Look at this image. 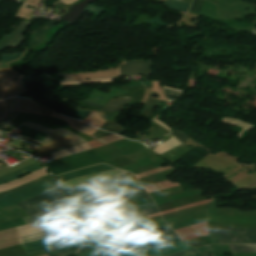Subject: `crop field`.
Wrapping results in <instances>:
<instances>
[{"label":"crop field","mask_w":256,"mask_h":256,"mask_svg":"<svg viewBox=\"0 0 256 256\" xmlns=\"http://www.w3.org/2000/svg\"><path fill=\"white\" fill-rule=\"evenodd\" d=\"M90 248H93V245H92L91 241H89V242H87V243H84V244L82 245V248H81L77 253H80V252H82V251L88 250V249H90Z\"/></svg>","instance_id":"crop-field-47"},{"label":"crop field","mask_w":256,"mask_h":256,"mask_svg":"<svg viewBox=\"0 0 256 256\" xmlns=\"http://www.w3.org/2000/svg\"><path fill=\"white\" fill-rule=\"evenodd\" d=\"M86 241H89V238H86V239L84 240V242H86ZM84 242H83V243H84Z\"/></svg>","instance_id":"crop-field-53"},{"label":"crop field","mask_w":256,"mask_h":256,"mask_svg":"<svg viewBox=\"0 0 256 256\" xmlns=\"http://www.w3.org/2000/svg\"><path fill=\"white\" fill-rule=\"evenodd\" d=\"M150 206H154V203L146 204V205H142V206H138V207H136V206L133 207V204L126 205V206H120V207H114V208L105 209V210H101V211H97V212H93V213H89V214L79 215L77 217L81 222H83V221H87V220L105 216V215L134 211V210L147 208ZM128 207H133V208H128ZM122 208H128V209H122ZM116 209H122V210H116ZM112 210H116V211H112Z\"/></svg>","instance_id":"crop-field-18"},{"label":"crop field","mask_w":256,"mask_h":256,"mask_svg":"<svg viewBox=\"0 0 256 256\" xmlns=\"http://www.w3.org/2000/svg\"><path fill=\"white\" fill-rule=\"evenodd\" d=\"M29 24L30 23L28 22H20V24L12 30V32H15L19 35L11 42L9 45L10 47L16 48L20 43L24 41L25 38L23 37V33Z\"/></svg>","instance_id":"crop-field-27"},{"label":"crop field","mask_w":256,"mask_h":256,"mask_svg":"<svg viewBox=\"0 0 256 256\" xmlns=\"http://www.w3.org/2000/svg\"><path fill=\"white\" fill-rule=\"evenodd\" d=\"M87 149H92V148L87 143H84V144H81L78 146H74V147H71V148H68V149H65L62 151L52 153V155L55 157V159H57V158H60L63 156L79 153V152H82Z\"/></svg>","instance_id":"crop-field-23"},{"label":"crop field","mask_w":256,"mask_h":256,"mask_svg":"<svg viewBox=\"0 0 256 256\" xmlns=\"http://www.w3.org/2000/svg\"><path fill=\"white\" fill-rule=\"evenodd\" d=\"M84 233L85 232L81 229L80 225H78L74 228L67 229L50 238L27 243V244H24L23 246L27 254H29V253L37 252L40 250H44L46 248H49L51 246H54L56 244H59L61 242H64L68 239H71L73 237L79 236Z\"/></svg>","instance_id":"crop-field-9"},{"label":"crop field","mask_w":256,"mask_h":256,"mask_svg":"<svg viewBox=\"0 0 256 256\" xmlns=\"http://www.w3.org/2000/svg\"><path fill=\"white\" fill-rule=\"evenodd\" d=\"M124 173H127V172L122 171V170H118V169H114L112 171L98 173V174H94V175H90V176L70 180V181H67V182H63V183H60V186L62 187V189H64V188H68V187H71V186L85 184V183H89V182L109 178V177H112V176L124 174Z\"/></svg>","instance_id":"crop-field-17"},{"label":"crop field","mask_w":256,"mask_h":256,"mask_svg":"<svg viewBox=\"0 0 256 256\" xmlns=\"http://www.w3.org/2000/svg\"><path fill=\"white\" fill-rule=\"evenodd\" d=\"M95 256H99V254L95 255Z\"/></svg>","instance_id":"crop-field-55"},{"label":"crop field","mask_w":256,"mask_h":256,"mask_svg":"<svg viewBox=\"0 0 256 256\" xmlns=\"http://www.w3.org/2000/svg\"><path fill=\"white\" fill-rule=\"evenodd\" d=\"M8 134H11V135H14V136H17V137H20V138H24V139H27V140H30V141H33V142H36V143L41 144L40 142H37V141H34V140H32V139H29V138L23 137V136H21V135L14 134V133H12V132H10V133H8Z\"/></svg>","instance_id":"crop-field-51"},{"label":"crop field","mask_w":256,"mask_h":256,"mask_svg":"<svg viewBox=\"0 0 256 256\" xmlns=\"http://www.w3.org/2000/svg\"><path fill=\"white\" fill-rule=\"evenodd\" d=\"M106 81H111V79H101V80H94V81H80V82L61 83V85L86 84V83H96V82H106Z\"/></svg>","instance_id":"crop-field-41"},{"label":"crop field","mask_w":256,"mask_h":256,"mask_svg":"<svg viewBox=\"0 0 256 256\" xmlns=\"http://www.w3.org/2000/svg\"><path fill=\"white\" fill-rule=\"evenodd\" d=\"M44 172H46V170L43 168V169H41V170L35 171V172H33V173H30V174H28V175H26V176H24V177H22V178H20V179H17V180H15V181L2 184V185H0V188L12 186V185L17 184V183H19V182H21V181H23V180H25V179H28V178H30V177H33V176H35V175H37V174H41V173H44ZM45 175H48V172L45 173V174H41V175H38V176H36V177L30 178V179H28V180H25V181H23V182H21V183H19V184H17V185H14V186H12V187L0 189V192L9 190V189H11V188H14V187L19 186V185H21V184L27 183V182H29V181L35 179V178L42 177V176H45ZM47 178H51V176L48 175V176H45V177H42V178H39V179H35V180H33V181H31V182H29V183H27V184H24V185H22V186L16 187V188L11 189V190H9V191L0 193V196H1V195L8 194V193H11V192H15V191H17V190H19V189H22V188H24V187H27V186H29V185H32V184H34V183H37V182L42 181V180L47 179Z\"/></svg>","instance_id":"crop-field-15"},{"label":"crop field","mask_w":256,"mask_h":256,"mask_svg":"<svg viewBox=\"0 0 256 256\" xmlns=\"http://www.w3.org/2000/svg\"><path fill=\"white\" fill-rule=\"evenodd\" d=\"M53 189H57V186L53 180V178L42 181L38 184H35L33 186H30L28 188H25L23 190H20L18 192L1 196L0 197V208L6 207L13 204H18L22 201H25L35 195H38L40 193L50 191Z\"/></svg>","instance_id":"crop-field-6"},{"label":"crop field","mask_w":256,"mask_h":256,"mask_svg":"<svg viewBox=\"0 0 256 256\" xmlns=\"http://www.w3.org/2000/svg\"><path fill=\"white\" fill-rule=\"evenodd\" d=\"M149 199L150 197L148 196V194H144V195H138V196L129 197V198L116 199V200H110L102 203H97V204L81 207L78 209H74V211L76 215H79V214H83L90 211L105 209L109 207H114V206H119L123 204L134 203V202L144 201Z\"/></svg>","instance_id":"crop-field-13"},{"label":"crop field","mask_w":256,"mask_h":256,"mask_svg":"<svg viewBox=\"0 0 256 256\" xmlns=\"http://www.w3.org/2000/svg\"><path fill=\"white\" fill-rule=\"evenodd\" d=\"M12 145L16 146V147H19V148H22V149H25V150L32 151V152H36L37 151V149H34V148L30 147L31 144H28L26 142L19 141V140H16Z\"/></svg>","instance_id":"crop-field-38"},{"label":"crop field","mask_w":256,"mask_h":256,"mask_svg":"<svg viewBox=\"0 0 256 256\" xmlns=\"http://www.w3.org/2000/svg\"><path fill=\"white\" fill-rule=\"evenodd\" d=\"M43 168L38 162L28 166V167H25L23 169H20L16 172H13L7 176H3V177H0V184L2 183H5V182H9V181H12L14 179H17V178H20L32 171H35V170H38V169H41Z\"/></svg>","instance_id":"crop-field-21"},{"label":"crop field","mask_w":256,"mask_h":256,"mask_svg":"<svg viewBox=\"0 0 256 256\" xmlns=\"http://www.w3.org/2000/svg\"><path fill=\"white\" fill-rule=\"evenodd\" d=\"M57 22H59V21H57ZM57 22L49 21V22H47L45 25L39 27L37 30H33L32 33H31V35H30V38H31V39H30L29 42H30L32 45L39 44V42H40V40H41V38H40L41 34H42L45 30H47V29H49L50 27L54 26ZM28 37H29V36H28Z\"/></svg>","instance_id":"crop-field-24"},{"label":"crop field","mask_w":256,"mask_h":256,"mask_svg":"<svg viewBox=\"0 0 256 256\" xmlns=\"http://www.w3.org/2000/svg\"><path fill=\"white\" fill-rule=\"evenodd\" d=\"M32 76H33V74L24 75V77H23V79H22L23 83L26 85L27 82H28V80H29V78H32ZM22 81L20 82L21 85H23ZM30 81H31V80H29L28 84L30 83ZM28 84H27V86H28Z\"/></svg>","instance_id":"crop-field-50"},{"label":"crop field","mask_w":256,"mask_h":256,"mask_svg":"<svg viewBox=\"0 0 256 256\" xmlns=\"http://www.w3.org/2000/svg\"><path fill=\"white\" fill-rule=\"evenodd\" d=\"M128 176H132V174L127 173V174H124L121 176H117V177H113V178H109V179H105V180H101V181H97V182H93V183H89V184H85V185H80V186H76V187H72V188H68V189H64L63 192L65 193V192H69V191L79 189L82 187H86V186H90V185H94V184H98V183H102V182H107V181H113V180L121 179V178L128 177Z\"/></svg>","instance_id":"crop-field-33"},{"label":"crop field","mask_w":256,"mask_h":256,"mask_svg":"<svg viewBox=\"0 0 256 256\" xmlns=\"http://www.w3.org/2000/svg\"><path fill=\"white\" fill-rule=\"evenodd\" d=\"M171 134H172L173 136L179 138V139H180L181 141H183L184 143H185L187 140L190 139V137H188V136H186V135H184V134H182V133H180V132H178V131H176V130H174Z\"/></svg>","instance_id":"crop-field-44"},{"label":"crop field","mask_w":256,"mask_h":256,"mask_svg":"<svg viewBox=\"0 0 256 256\" xmlns=\"http://www.w3.org/2000/svg\"><path fill=\"white\" fill-rule=\"evenodd\" d=\"M20 55L21 53H12V54L1 55V57H2V60H4L5 62H8V61H12L19 58Z\"/></svg>","instance_id":"crop-field-40"},{"label":"crop field","mask_w":256,"mask_h":256,"mask_svg":"<svg viewBox=\"0 0 256 256\" xmlns=\"http://www.w3.org/2000/svg\"><path fill=\"white\" fill-rule=\"evenodd\" d=\"M148 22H150V23H152V24L156 23V24H158V25H160V26H162V27L166 26V25H164L163 22H161V19H159V18H157V17H154V18H152V19H149Z\"/></svg>","instance_id":"crop-field-48"},{"label":"crop field","mask_w":256,"mask_h":256,"mask_svg":"<svg viewBox=\"0 0 256 256\" xmlns=\"http://www.w3.org/2000/svg\"><path fill=\"white\" fill-rule=\"evenodd\" d=\"M112 169H114V168L109 167L104 164H101V165L84 168V169H81V170H78L75 172H71L68 174L56 176L55 178L58 181V183H60V182L67 181V180H70L73 178H77V177H81V176H85V175H89V174H93V173H98V172H102V171L112 170Z\"/></svg>","instance_id":"crop-field-20"},{"label":"crop field","mask_w":256,"mask_h":256,"mask_svg":"<svg viewBox=\"0 0 256 256\" xmlns=\"http://www.w3.org/2000/svg\"><path fill=\"white\" fill-rule=\"evenodd\" d=\"M179 144H181V142H179L177 139L173 137L165 141L164 143L160 144L159 146L155 147L156 149L154 151L157 154L161 155Z\"/></svg>","instance_id":"crop-field-28"},{"label":"crop field","mask_w":256,"mask_h":256,"mask_svg":"<svg viewBox=\"0 0 256 256\" xmlns=\"http://www.w3.org/2000/svg\"><path fill=\"white\" fill-rule=\"evenodd\" d=\"M84 103H87V104H90V105H92V106H96V107L102 108V106H99V105H96V104H92V103H89V102H86V101H84Z\"/></svg>","instance_id":"crop-field-52"},{"label":"crop field","mask_w":256,"mask_h":256,"mask_svg":"<svg viewBox=\"0 0 256 256\" xmlns=\"http://www.w3.org/2000/svg\"><path fill=\"white\" fill-rule=\"evenodd\" d=\"M91 111L89 110H78V109H69L64 108L60 113L66 115L68 117L76 118L79 120L84 121L87 116L90 114Z\"/></svg>","instance_id":"crop-field-26"},{"label":"crop field","mask_w":256,"mask_h":256,"mask_svg":"<svg viewBox=\"0 0 256 256\" xmlns=\"http://www.w3.org/2000/svg\"><path fill=\"white\" fill-rule=\"evenodd\" d=\"M81 143H84V141L78 136L63 129H58L48 134V136L44 139L41 148L34 156L36 158L46 156L52 152Z\"/></svg>","instance_id":"crop-field-4"},{"label":"crop field","mask_w":256,"mask_h":256,"mask_svg":"<svg viewBox=\"0 0 256 256\" xmlns=\"http://www.w3.org/2000/svg\"><path fill=\"white\" fill-rule=\"evenodd\" d=\"M119 66L121 75H144L149 74V71H151L150 61L128 62Z\"/></svg>","instance_id":"crop-field-19"},{"label":"crop field","mask_w":256,"mask_h":256,"mask_svg":"<svg viewBox=\"0 0 256 256\" xmlns=\"http://www.w3.org/2000/svg\"><path fill=\"white\" fill-rule=\"evenodd\" d=\"M160 115H158L155 119H153L152 121L158 123L159 125H161L162 127H164L165 129H167L168 131H171V128L169 126H167L166 124H164L161 120L157 119Z\"/></svg>","instance_id":"crop-field-49"},{"label":"crop field","mask_w":256,"mask_h":256,"mask_svg":"<svg viewBox=\"0 0 256 256\" xmlns=\"http://www.w3.org/2000/svg\"><path fill=\"white\" fill-rule=\"evenodd\" d=\"M203 2L204 0H194L190 10L198 13Z\"/></svg>","instance_id":"crop-field-42"},{"label":"crop field","mask_w":256,"mask_h":256,"mask_svg":"<svg viewBox=\"0 0 256 256\" xmlns=\"http://www.w3.org/2000/svg\"><path fill=\"white\" fill-rule=\"evenodd\" d=\"M214 229L220 243H256V229Z\"/></svg>","instance_id":"crop-field-10"},{"label":"crop field","mask_w":256,"mask_h":256,"mask_svg":"<svg viewBox=\"0 0 256 256\" xmlns=\"http://www.w3.org/2000/svg\"><path fill=\"white\" fill-rule=\"evenodd\" d=\"M89 10V11H93V12H96V13H102L104 8H100V7H96V6H93V5H88L87 8L85 9V12Z\"/></svg>","instance_id":"crop-field-45"},{"label":"crop field","mask_w":256,"mask_h":256,"mask_svg":"<svg viewBox=\"0 0 256 256\" xmlns=\"http://www.w3.org/2000/svg\"><path fill=\"white\" fill-rule=\"evenodd\" d=\"M191 4L189 3H185V2H181L178 0H167V2L164 4V6L170 8V9H174L180 12H184L186 13L189 9Z\"/></svg>","instance_id":"crop-field-29"},{"label":"crop field","mask_w":256,"mask_h":256,"mask_svg":"<svg viewBox=\"0 0 256 256\" xmlns=\"http://www.w3.org/2000/svg\"><path fill=\"white\" fill-rule=\"evenodd\" d=\"M221 120L228 122V123L235 124V125L243 128V129H246V130H249V128L251 127V125H249V124H246V123L238 121V120L230 119V118L223 117Z\"/></svg>","instance_id":"crop-field-37"},{"label":"crop field","mask_w":256,"mask_h":256,"mask_svg":"<svg viewBox=\"0 0 256 256\" xmlns=\"http://www.w3.org/2000/svg\"><path fill=\"white\" fill-rule=\"evenodd\" d=\"M102 162L103 160L101 158L88 150L80 154L63 157L61 159L46 163L44 165L51 171L53 176H56L71 170L87 167Z\"/></svg>","instance_id":"crop-field-3"},{"label":"crop field","mask_w":256,"mask_h":256,"mask_svg":"<svg viewBox=\"0 0 256 256\" xmlns=\"http://www.w3.org/2000/svg\"><path fill=\"white\" fill-rule=\"evenodd\" d=\"M75 225L78 222L70 210H66L17 228L21 234V242L24 243L47 238Z\"/></svg>","instance_id":"crop-field-1"},{"label":"crop field","mask_w":256,"mask_h":256,"mask_svg":"<svg viewBox=\"0 0 256 256\" xmlns=\"http://www.w3.org/2000/svg\"><path fill=\"white\" fill-rule=\"evenodd\" d=\"M64 198L61 195L59 189L53 190L50 192L43 193L41 195L35 196L18 206L24 208L28 214L32 215L36 212H39L46 207H49L51 205L64 202Z\"/></svg>","instance_id":"crop-field-8"},{"label":"crop field","mask_w":256,"mask_h":256,"mask_svg":"<svg viewBox=\"0 0 256 256\" xmlns=\"http://www.w3.org/2000/svg\"><path fill=\"white\" fill-rule=\"evenodd\" d=\"M232 253L256 252V245H229Z\"/></svg>","instance_id":"crop-field-30"},{"label":"crop field","mask_w":256,"mask_h":256,"mask_svg":"<svg viewBox=\"0 0 256 256\" xmlns=\"http://www.w3.org/2000/svg\"><path fill=\"white\" fill-rule=\"evenodd\" d=\"M134 179H135V177L132 176V177H129V178H125V179H121V180H117V181H113V182L102 183V184H98V185L82 188V189H79V190H75V191H72V192H69V193H65V196L71 195V194H74V193H78V192H81L83 190L90 189V188L107 186V185H111V184H115V183H120V182H125V181H130V180H134Z\"/></svg>","instance_id":"crop-field-32"},{"label":"crop field","mask_w":256,"mask_h":256,"mask_svg":"<svg viewBox=\"0 0 256 256\" xmlns=\"http://www.w3.org/2000/svg\"><path fill=\"white\" fill-rule=\"evenodd\" d=\"M80 246H77L75 248H72V249H69L67 251L61 252V253H59L57 255H54V256H73L75 254V252L80 248Z\"/></svg>","instance_id":"crop-field-43"},{"label":"crop field","mask_w":256,"mask_h":256,"mask_svg":"<svg viewBox=\"0 0 256 256\" xmlns=\"http://www.w3.org/2000/svg\"><path fill=\"white\" fill-rule=\"evenodd\" d=\"M141 186L140 183L137 180L130 181V182H125V183H120V184H115L107 187H102V188H96V189H90L86 190L84 192L74 194L71 196H67L68 202H73L79 199H83L87 196L91 195H96V194H102V193H107V192H113V191H118V190H124V189H130V188H135Z\"/></svg>","instance_id":"crop-field-12"},{"label":"crop field","mask_w":256,"mask_h":256,"mask_svg":"<svg viewBox=\"0 0 256 256\" xmlns=\"http://www.w3.org/2000/svg\"><path fill=\"white\" fill-rule=\"evenodd\" d=\"M16 36L17 34L11 32L9 34H5V36L0 41V51L7 47Z\"/></svg>","instance_id":"crop-field-34"},{"label":"crop field","mask_w":256,"mask_h":256,"mask_svg":"<svg viewBox=\"0 0 256 256\" xmlns=\"http://www.w3.org/2000/svg\"><path fill=\"white\" fill-rule=\"evenodd\" d=\"M208 250H210L209 245L204 246V247H200V248H196V249H192V250H188V251H184V252H180V253H177V254L171 255V256H185V255H189V254H193V253H197V252H202V251H208Z\"/></svg>","instance_id":"crop-field-35"},{"label":"crop field","mask_w":256,"mask_h":256,"mask_svg":"<svg viewBox=\"0 0 256 256\" xmlns=\"http://www.w3.org/2000/svg\"><path fill=\"white\" fill-rule=\"evenodd\" d=\"M84 236H85V235H84ZM84 236H81V237H79V238H76V239H73V240L68 241V242H66V243H63V244H61V245H59V246H56V247H54V248H52V249L45 250L44 252L47 254V253L52 252V251H55V250H57V249L66 247V246H68V245H70V244H72V243H74V242H77V241H79V240H82V239L84 238Z\"/></svg>","instance_id":"crop-field-39"},{"label":"crop field","mask_w":256,"mask_h":256,"mask_svg":"<svg viewBox=\"0 0 256 256\" xmlns=\"http://www.w3.org/2000/svg\"><path fill=\"white\" fill-rule=\"evenodd\" d=\"M146 193L142 187L135 188V189H130L126 191H120V192H113V193H107V194H102V195H96L92 196L83 200H79L73 203H70V206L72 209L84 205H88L91 203H96V202H102L110 199H115V198H121V197H127V196H132V195H138V194H144Z\"/></svg>","instance_id":"crop-field-11"},{"label":"crop field","mask_w":256,"mask_h":256,"mask_svg":"<svg viewBox=\"0 0 256 256\" xmlns=\"http://www.w3.org/2000/svg\"><path fill=\"white\" fill-rule=\"evenodd\" d=\"M20 130H22L21 135L35 139L40 142H42L43 139L46 137V134L27 129L22 126L20 127Z\"/></svg>","instance_id":"crop-field-31"},{"label":"crop field","mask_w":256,"mask_h":256,"mask_svg":"<svg viewBox=\"0 0 256 256\" xmlns=\"http://www.w3.org/2000/svg\"><path fill=\"white\" fill-rule=\"evenodd\" d=\"M156 212L158 211L156 206H154V207H150V208L139 210V211L111 215V216L94 219L86 223H83V225L87 231H90V230H94V229H98L106 226H115V225L128 223L136 220L146 219L144 215L152 214Z\"/></svg>","instance_id":"crop-field-5"},{"label":"crop field","mask_w":256,"mask_h":256,"mask_svg":"<svg viewBox=\"0 0 256 256\" xmlns=\"http://www.w3.org/2000/svg\"><path fill=\"white\" fill-rule=\"evenodd\" d=\"M68 209L66 203H62V204H58V205H54L48 209H45L39 213H36L30 217H26V218H23V221L25 222V224L29 223V222H32V221H35V220H38L42 217H45L49 214H52L54 212H58V211H61V210H66Z\"/></svg>","instance_id":"crop-field-22"},{"label":"crop field","mask_w":256,"mask_h":256,"mask_svg":"<svg viewBox=\"0 0 256 256\" xmlns=\"http://www.w3.org/2000/svg\"><path fill=\"white\" fill-rule=\"evenodd\" d=\"M82 241H83V240H82ZM82 241L77 242V243H74V244H72V245H70V246H68V247H66V248L57 250V251H55V252H53V253H50V254H48V255L52 256V255H54V254H56V253H59V252H61V251H64V250H67V249H69V248H72V247H75V246H77V245H80V244L82 243Z\"/></svg>","instance_id":"crop-field-46"},{"label":"crop field","mask_w":256,"mask_h":256,"mask_svg":"<svg viewBox=\"0 0 256 256\" xmlns=\"http://www.w3.org/2000/svg\"><path fill=\"white\" fill-rule=\"evenodd\" d=\"M127 98L111 99L108 104L101 110L102 112H115L121 110L122 107L127 103Z\"/></svg>","instance_id":"crop-field-25"},{"label":"crop field","mask_w":256,"mask_h":256,"mask_svg":"<svg viewBox=\"0 0 256 256\" xmlns=\"http://www.w3.org/2000/svg\"><path fill=\"white\" fill-rule=\"evenodd\" d=\"M180 241L175 232L171 231L168 233L143 238L139 240L124 242L120 244H115L107 247L99 248L103 256H115L121 255L137 250H142L150 247L166 245L174 242Z\"/></svg>","instance_id":"crop-field-2"},{"label":"crop field","mask_w":256,"mask_h":256,"mask_svg":"<svg viewBox=\"0 0 256 256\" xmlns=\"http://www.w3.org/2000/svg\"><path fill=\"white\" fill-rule=\"evenodd\" d=\"M167 231H171V229L168 227V225L157 228V229L141 232V233L128 234V235H123V236H119V237H115V238L97 241L96 244L98 245V247H100V246L120 243V242H124V241L139 239V238H143V237H148V236L160 234V233L167 232Z\"/></svg>","instance_id":"crop-field-16"},{"label":"crop field","mask_w":256,"mask_h":256,"mask_svg":"<svg viewBox=\"0 0 256 256\" xmlns=\"http://www.w3.org/2000/svg\"><path fill=\"white\" fill-rule=\"evenodd\" d=\"M22 126H25L27 128L36 129V130L41 131V132L46 133V134H48L52 131L48 128L42 127V126L34 124V123H29V122L22 123Z\"/></svg>","instance_id":"crop-field-36"},{"label":"crop field","mask_w":256,"mask_h":256,"mask_svg":"<svg viewBox=\"0 0 256 256\" xmlns=\"http://www.w3.org/2000/svg\"><path fill=\"white\" fill-rule=\"evenodd\" d=\"M189 248L190 247L187 246L185 243L179 242V243L170 244L166 246L137 251V252L121 255V256H162V255L182 251Z\"/></svg>","instance_id":"crop-field-14"},{"label":"crop field","mask_w":256,"mask_h":256,"mask_svg":"<svg viewBox=\"0 0 256 256\" xmlns=\"http://www.w3.org/2000/svg\"><path fill=\"white\" fill-rule=\"evenodd\" d=\"M190 256H199V254H194V255H190Z\"/></svg>","instance_id":"crop-field-54"},{"label":"crop field","mask_w":256,"mask_h":256,"mask_svg":"<svg viewBox=\"0 0 256 256\" xmlns=\"http://www.w3.org/2000/svg\"><path fill=\"white\" fill-rule=\"evenodd\" d=\"M148 221H150V220L146 219V220L136 221V222L120 225V226L107 227V228L89 232V234L92 235L97 232L121 228V227L134 225V224H138V223H144V222H148ZM163 225H166V224L164 223L163 219H161V220H157V221H153V222H149V223H145V224L134 225V226H129V227L113 230V231L97 233V234L92 235V238L94 239V241H97V240L106 239V238H110V237H114V236H118V235H122V234L140 232V231L156 228V227L163 226Z\"/></svg>","instance_id":"crop-field-7"}]
</instances>
